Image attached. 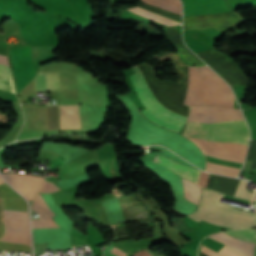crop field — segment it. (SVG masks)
<instances>
[{
  "mask_svg": "<svg viewBox=\"0 0 256 256\" xmlns=\"http://www.w3.org/2000/svg\"><path fill=\"white\" fill-rule=\"evenodd\" d=\"M137 67L142 70L143 76L155 100L168 111L187 118L188 106L181 104L184 102L187 90L190 67H179L185 73L181 84L159 81L152 72L154 68L145 63L137 65ZM137 67L134 66L131 68L135 74L131 75L130 78L140 101L147 109L142 111V113L154 123L179 132L186 119L168 112L154 100L142 76L141 70Z\"/></svg>",
  "mask_w": 256,
  "mask_h": 256,
  "instance_id": "crop-field-1",
  "label": "crop field"
},
{
  "mask_svg": "<svg viewBox=\"0 0 256 256\" xmlns=\"http://www.w3.org/2000/svg\"><path fill=\"white\" fill-rule=\"evenodd\" d=\"M168 41L172 44L174 48L184 46L180 34L176 31L174 27L163 29Z\"/></svg>",
  "mask_w": 256,
  "mask_h": 256,
  "instance_id": "crop-field-17",
  "label": "crop field"
},
{
  "mask_svg": "<svg viewBox=\"0 0 256 256\" xmlns=\"http://www.w3.org/2000/svg\"><path fill=\"white\" fill-rule=\"evenodd\" d=\"M109 252L117 255V256H126L127 254H125L124 252H122L121 250L113 247Z\"/></svg>",
  "mask_w": 256,
  "mask_h": 256,
  "instance_id": "crop-field-29",
  "label": "crop field"
},
{
  "mask_svg": "<svg viewBox=\"0 0 256 256\" xmlns=\"http://www.w3.org/2000/svg\"><path fill=\"white\" fill-rule=\"evenodd\" d=\"M225 232L243 241L256 243V229L243 228V229H237L234 231H225Z\"/></svg>",
  "mask_w": 256,
  "mask_h": 256,
  "instance_id": "crop-field-16",
  "label": "crop field"
},
{
  "mask_svg": "<svg viewBox=\"0 0 256 256\" xmlns=\"http://www.w3.org/2000/svg\"><path fill=\"white\" fill-rule=\"evenodd\" d=\"M196 54L199 55L205 62H207L223 53L215 49H210V50L199 52Z\"/></svg>",
  "mask_w": 256,
  "mask_h": 256,
  "instance_id": "crop-field-22",
  "label": "crop field"
},
{
  "mask_svg": "<svg viewBox=\"0 0 256 256\" xmlns=\"http://www.w3.org/2000/svg\"><path fill=\"white\" fill-rule=\"evenodd\" d=\"M0 90L15 93V88H14L12 79L0 76Z\"/></svg>",
  "mask_w": 256,
  "mask_h": 256,
  "instance_id": "crop-field-20",
  "label": "crop field"
},
{
  "mask_svg": "<svg viewBox=\"0 0 256 256\" xmlns=\"http://www.w3.org/2000/svg\"><path fill=\"white\" fill-rule=\"evenodd\" d=\"M2 175L28 199L34 198V195L42 185L43 180V178L20 174Z\"/></svg>",
  "mask_w": 256,
  "mask_h": 256,
  "instance_id": "crop-field-11",
  "label": "crop field"
},
{
  "mask_svg": "<svg viewBox=\"0 0 256 256\" xmlns=\"http://www.w3.org/2000/svg\"><path fill=\"white\" fill-rule=\"evenodd\" d=\"M32 210L38 212L40 214V219L32 220L33 228H51V227H58L50 218L51 216L55 215L46 205L45 201L43 200L41 194H37Z\"/></svg>",
  "mask_w": 256,
  "mask_h": 256,
  "instance_id": "crop-field-13",
  "label": "crop field"
},
{
  "mask_svg": "<svg viewBox=\"0 0 256 256\" xmlns=\"http://www.w3.org/2000/svg\"><path fill=\"white\" fill-rule=\"evenodd\" d=\"M222 194L205 190L199 211L188 217L233 228L251 227L256 224V213L219 203Z\"/></svg>",
  "mask_w": 256,
  "mask_h": 256,
  "instance_id": "crop-field-3",
  "label": "crop field"
},
{
  "mask_svg": "<svg viewBox=\"0 0 256 256\" xmlns=\"http://www.w3.org/2000/svg\"><path fill=\"white\" fill-rule=\"evenodd\" d=\"M201 252H203L204 254L208 255V256H221L215 252H213L212 250L208 249L207 247L203 246L201 247Z\"/></svg>",
  "mask_w": 256,
  "mask_h": 256,
  "instance_id": "crop-field-27",
  "label": "crop field"
},
{
  "mask_svg": "<svg viewBox=\"0 0 256 256\" xmlns=\"http://www.w3.org/2000/svg\"><path fill=\"white\" fill-rule=\"evenodd\" d=\"M184 104L235 108L228 85L208 66L191 67Z\"/></svg>",
  "mask_w": 256,
  "mask_h": 256,
  "instance_id": "crop-field-2",
  "label": "crop field"
},
{
  "mask_svg": "<svg viewBox=\"0 0 256 256\" xmlns=\"http://www.w3.org/2000/svg\"><path fill=\"white\" fill-rule=\"evenodd\" d=\"M51 183V182H50ZM48 181H44V183H43V185H45L46 187H48V188H50L51 190H53V191H57L59 188L58 187H56L53 183V185L56 187V188H58V189H56L52 184H50ZM60 190V189H59ZM39 192H47V191H45L44 189H40L39 190Z\"/></svg>",
  "mask_w": 256,
  "mask_h": 256,
  "instance_id": "crop-field-28",
  "label": "crop field"
},
{
  "mask_svg": "<svg viewBox=\"0 0 256 256\" xmlns=\"http://www.w3.org/2000/svg\"><path fill=\"white\" fill-rule=\"evenodd\" d=\"M183 134L206 140L238 142L246 145L249 138V130L245 121L212 124L188 122Z\"/></svg>",
  "mask_w": 256,
  "mask_h": 256,
  "instance_id": "crop-field-4",
  "label": "crop field"
},
{
  "mask_svg": "<svg viewBox=\"0 0 256 256\" xmlns=\"http://www.w3.org/2000/svg\"><path fill=\"white\" fill-rule=\"evenodd\" d=\"M170 57L176 70L178 82L180 83V80L182 77H184V74L178 69V66H186V64L180 60L178 54L171 55Z\"/></svg>",
  "mask_w": 256,
  "mask_h": 256,
  "instance_id": "crop-field-21",
  "label": "crop field"
},
{
  "mask_svg": "<svg viewBox=\"0 0 256 256\" xmlns=\"http://www.w3.org/2000/svg\"><path fill=\"white\" fill-rule=\"evenodd\" d=\"M178 50L182 53V55L188 60L189 63L194 66H203L206 65L203 63L194 53L189 51L186 46L178 48Z\"/></svg>",
  "mask_w": 256,
  "mask_h": 256,
  "instance_id": "crop-field-18",
  "label": "crop field"
},
{
  "mask_svg": "<svg viewBox=\"0 0 256 256\" xmlns=\"http://www.w3.org/2000/svg\"><path fill=\"white\" fill-rule=\"evenodd\" d=\"M188 121L199 122H217L222 120H244L239 109L211 107V106H193L190 107Z\"/></svg>",
  "mask_w": 256,
  "mask_h": 256,
  "instance_id": "crop-field-7",
  "label": "crop field"
},
{
  "mask_svg": "<svg viewBox=\"0 0 256 256\" xmlns=\"http://www.w3.org/2000/svg\"><path fill=\"white\" fill-rule=\"evenodd\" d=\"M133 256H150L145 250L134 254Z\"/></svg>",
  "mask_w": 256,
  "mask_h": 256,
  "instance_id": "crop-field-30",
  "label": "crop field"
},
{
  "mask_svg": "<svg viewBox=\"0 0 256 256\" xmlns=\"http://www.w3.org/2000/svg\"><path fill=\"white\" fill-rule=\"evenodd\" d=\"M4 212H6V213L27 214V211H20V210H8V209H4ZM6 213H4V217L23 218V219H27V220H28L27 215L6 214Z\"/></svg>",
  "mask_w": 256,
  "mask_h": 256,
  "instance_id": "crop-field-23",
  "label": "crop field"
},
{
  "mask_svg": "<svg viewBox=\"0 0 256 256\" xmlns=\"http://www.w3.org/2000/svg\"><path fill=\"white\" fill-rule=\"evenodd\" d=\"M10 59L20 91L35 75L30 46L10 50Z\"/></svg>",
  "mask_w": 256,
  "mask_h": 256,
  "instance_id": "crop-field-6",
  "label": "crop field"
},
{
  "mask_svg": "<svg viewBox=\"0 0 256 256\" xmlns=\"http://www.w3.org/2000/svg\"><path fill=\"white\" fill-rule=\"evenodd\" d=\"M190 139L199 146L206 155L224 158L239 163L243 162L246 155L247 146L234 143L205 141L197 138Z\"/></svg>",
  "mask_w": 256,
  "mask_h": 256,
  "instance_id": "crop-field-5",
  "label": "crop field"
},
{
  "mask_svg": "<svg viewBox=\"0 0 256 256\" xmlns=\"http://www.w3.org/2000/svg\"><path fill=\"white\" fill-rule=\"evenodd\" d=\"M223 248H225L226 250H228V251H230V252H232V253H234V254H237V255H239V256H243V255H241V254H239V253L233 251L232 249L228 248L227 246H224ZM223 248H222L220 251H218V252L221 253V254H223V255H225V256H236V255H234V254H232V253L226 251V250L223 249Z\"/></svg>",
  "mask_w": 256,
  "mask_h": 256,
  "instance_id": "crop-field-25",
  "label": "crop field"
},
{
  "mask_svg": "<svg viewBox=\"0 0 256 256\" xmlns=\"http://www.w3.org/2000/svg\"><path fill=\"white\" fill-rule=\"evenodd\" d=\"M229 84L248 86L249 82L242 71L224 54L207 62Z\"/></svg>",
  "mask_w": 256,
  "mask_h": 256,
  "instance_id": "crop-field-9",
  "label": "crop field"
},
{
  "mask_svg": "<svg viewBox=\"0 0 256 256\" xmlns=\"http://www.w3.org/2000/svg\"><path fill=\"white\" fill-rule=\"evenodd\" d=\"M246 181L241 180L239 186L236 190L234 196L248 199V200H255V193L246 192Z\"/></svg>",
  "mask_w": 256,
  "mask_h": 256,
  "instance_id": "crop-field-19",
  "label": "crop field"
},
{
  "mask_svg": "<svg viewBox=\"0 0 256 256\" xmlns=\"http://www.w3.org/2000/svg\"><path fill=\"white\" fill-rule=\"evenodd\" d=\"M47 91L58 90V72L46 73ZM45 73L35 76L36 92L46 91Z\"/></svg>",
  "mask_w": 256,
  "mask_h": 256,
  "instance_id": "crop-field-15",
  "label": "crop field"
},
{
  "mask_svg": "<svg viewBox=\"0 0 256 256\" xmlns=\"http://www.w3.org/2000/svg\"><path fill=\"white\" fill-rule=\"evenodd\" d=\"M142 1L148 4H156V5L181 8L179 0H142ZM130 10L141 16L158 21L167 26L174 25V24H181V16H178V15L156 13V12H149V11H142V10H135V9H130Z\"/></svg>",
  "mask_w": 256,
  "mask_h": 256,
  "instance_id": "crop-field-10",
  "label": "crop field"
},
{
  "mask_svg": "<svg viewBox=\"0 0 256 256\" xmlns=\"http://www.w3.org/2000/svg\"><path fill=\"white\" fill-rule=\"evenodd\" d=\"M1 183H4V182H3V180H2V178H1V176H0V184H1Z\"/></svg>",
  "mask_w": 256,
  "mask_h": 256,
  "instance_id": "crop-field-31",
  "label": "crop field"
},
{
  "mask_svg": "<svg viewBox=\"0 0 256 256\" xmlns=\"http://www.w3.org/2000/svg\"><path fill=\"white\" fill-rule=\"evenodd\" d=\"M242 21L232 13L184 18V30L214 26L226 32Z\"/></svg>",
  "mask_w": 256,
  "mask_h": 256,
  "instance_id": "crop-field-8",
  "label": "crop field"
},
{
  "mask_svg": "<svg viewBox=\"0 0 256 256\" xmlns=\"http://www.w3.org/2000/svg\"><path fill=\"white\" fill-rule=\"evenodd\" d=\"M0 75L11 77L10 68L8 66H4L0 64Z\"/></svg>",
  "mask_w": 256,
  "mask_h": 256,
  "instance_id": "crop-field-26",
  "label": "crop field"
},
{
  "mask_svg": "<svg viewBox=\"0 0 256 256\" xmlns=\"http://www.w3.org/2000/svg\"><path fill=\"white\" fill-rule=\"evenodd\" d=\"M155 163L159 164L160 166L164 167L165 169H167V170H169L187 180H190L196 184L198 182V177H199L200 171L195 168L181 165V164H179L169 158L161 156V155H159L157 157Z\"/></svg>",
  "mask_w": 256,
  "mask_h": 256,
  "instance_id": "crop-field-12",
  "label": "crop field"
},
{
  "mask_svg": "<svg viewBox=\"0 0 256 256\" xmlns=\"http://www.w3.org/2000/svg\"><path fill=\"white\" fill-rule=\"evenodd\" d=\"M208 179H209V174L206 173V172H202L201 171L198 184H200L204 188H206L207 187V183H208Z\"/></svg>",
  "mask_w": 256,
  "mask_h": 256,
  "instance_id": "crop-field-24",
  "label": "crop field"
},
{
  "mask_svg": "<svg viewBox=\"0 0 256 256\" xmlns=\"http://www.w3.org/2000/svg\"><path fill=\"white\" fill-rule=\"evenodd\" d=\"M60 129L80 128L78 105L59 106Z\"/></svg>",
  "mask_w": 256,
  "mask_h": 256,
  "instance_id": "crop-field-14",
  "label": "crop field"
}]
</instances>
